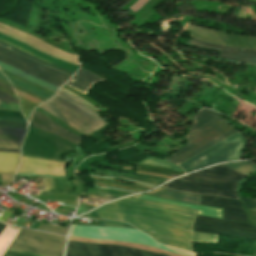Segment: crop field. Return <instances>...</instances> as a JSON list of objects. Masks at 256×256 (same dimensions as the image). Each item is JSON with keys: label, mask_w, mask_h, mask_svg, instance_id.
Segmentation results:
<instances>
[{"label": "crop field", "mask_w": 256, "mask_h": 256, "mask_svg": "<svg viewBox=\"0 0 256 256\" xmlns=\"http://www.w3.org/2000/svg\"><path fill=\"white\" fill-rule=\"evenodd\" d=\"M46 191L43 194H51L54 190L52 178H44Z\"/></svg>", "instance_id": "1d83c4d3"}, {"label": "crop field", "mask_w": 256, "mask_h": 256, "mask_svg": "<svg viewBox=\"0 0 256 256\" xmlns=\"http://www.w3.org/2000/svg\"><path fill=\"white\" fill-rule=\"evenodd\" d=\"M0 45L4 46V47H6V48H9V49H11V50H13V51H15V52H18V53H20V54H22V55H24V56H26V57H29V58H31V59H33V60H35V61H37V62H39V63H41V64H43V65H45V66L54 68V69H56V70L62 71V72H64V73H67V74H70V75H73V73L67 72V71L62 70V69H60V68H58V67H55V66H51V65H49V64H47V63H45V62H43V61L37 60V59H35V58H33V57H31V56H29V55H27V54H25V53H23V52L17 50V49H15V48H13V47H11V46H9V45H6V44L1 43V42H0Z\"/></svg>", "instance_id": "4177f3b9"}, {"label": "crop field", "mask_w": 256, "mask_h": 256, "mask_svg": "<svg viewBox=\"0 0 256 256\" xmlns=\"http://www.w3.org/2000/svg\"><path fill=\"white\" fill-rule=\"evenodd\" d=\"M98 188H112V189H117V188H113V187H98ZM118 190H122V189H118ZM123 191H128V190H123ZM128 192L137 193L138 191H128Z\"/></svg>", "instance_id": "c21b1889"}, {"label": "crop field", "mask_w": 256, "mask_h": 256, "mask_svg": "<svg viewBox=\"0 0 256 256\" xmlns=\"http://www.w3.org/2000/svg\"><path fill=\"white\" fill-rule=\"evenodd\" d=\"M65 237L21 229L10 248L44 256H62Z\"/></svg>", "instance_id": "dd49c442"}, {"label": "crop field", "mask_w": 256, "mask_h": 256, "mask_svg": "<svg viewBox=\"0 0 256 256\" xmlns=\"http://www.w3.org/2000/svg\"><path fill=\"white\" fill-rule=\"evenodd\" d=\"M0 120H11V121H22V122H26L25 119H18V118H2V117H0Z\"/></svg>", "instance_id": "5866460e"}, {"label": "crop field", "mask_w": 256, "mask_h": 256, "mask_svg": "<svg viewBox=\"0 0 256 256\" xmlns=\"http://www.w3.org/2000/svg\"><path fill=\"white\" fill-rule=\"evenodd\" d=\"M134 197L164 202V203H168V204H172V205L188 207V208L198 210L197 214H199V215L210 216V217L222 219V209H216V208H210V207H204V206H194V205L185 204V203H181V202L159 199V198H155V197H152L149 195H138V196H134Z\"/></svg>", "instance_id": "4a817a6b"}, {"label": "crop field", "mask_w": 256, "mask_h": 256, "mask_svg": "<svg viewBox=\"0 0 256 256\" xmlns=\"http://www.w3.org/2000/svg\"><path fill=\"white\" fill-rule=\"evenodd\" d=\"M137 165V169L140 171H144V172H150V173H157V174H164V175H182L184 173H180V172H176V171H172V170H168V169H164V168H158V167H152V166H145V165Z\"/></svg>", "instance_id": "00972430"}, {"label": "crop field", "mask_w": 256, "mask_h": 256, "mask_svg": "<svg viewBox=\"0 0 256 256\" xmlns=\"http://www.w3.org/2000/svg\"><path fill=\"white\" fill-rule=\"evenodd\" d=\"M0 87H2V88H4V89H6V90H8V91H10V92H12V93H14L13 90H12V88H10V87H8V86L2 84V83H0Z\"/></svg>", "instance_id": "e1f06a70"}, {"label": "crop field", "mask_w": 256, "mask_h": 256, "mask_svg": "<svg viewBox=\"0 0 256 256\" xmlns=\"http://www.w3.org/2000/svg\"><path fill=\"white\" fill-rule=\"evenodd\" d=\"M10 216H11V214L5 212L3 215L0 216V220L4 222Z\"/></svg>", "instance_id": "028f5c9d"}, {"label": "crop field", "mask_w": 256, "mask_h": 256, "mask_svg": "<svg viewBox=\"0 0 256 256\" xmlns=\"http://www.w3.org/2000/svg\"><path fill=\"white\" fill-rule=\"evenodd\" d=\"M195 216L194 210L127 197L81 217L123 220L163 244L193 251L192 242L216 243L218 237L192 232Z\"/></svg>", "instance_id": "8a807250"}, {"label": "crop field", "mask_w": 256, "mask_h": 256, "mask_svg": "<svg viewBox=\"0 0 256 256\" xmlns=\"http://www.w3.org/2000/svg\"><path fill=\"white\" fill-rule=\"evenodd\" d=\"M26 130L0 127V148L20 149Z\"/></svg>", "instance_id": "d9b57169"}, {"label": "crop field", "mask_w": 256, "mask_h": 256, "mask_svg": "<svg viewBox=\"0 0 256 256\" xmlns=\"http://www.w3.org/2000/svg\"><path fill=\"white\" fill-rule=\"evenodd\" d=\"M0 151H5V152H18V153H20V150H7V149H0Z\"/></svg>", "instance_id": "c035e120"}, {"label": "crop field", "mask_w": 256, "mask_h": 256, "mask_svg": "<svg viewBox=\"0 0 256 256\" xmlns=\"http://www.w3.org/2000/svg\"><path fill=\"white\" fill-rule=\"evenodd\" d=\"M0 67L2 69L8 70V71H10V72H12V73H14V74H16V75L26 79V80H29V81L37 84V85L45 87V88H47L49 90H52L54 92H56L58 90V87H56L54 85H51V84H49V83H47L45 81H42V80H40L38 78H35V77H33V76L29 75V74H26V73H24V72H22V71H20V70H18L16 68H13L11 66L5 65V64H3L1 62H0Z\"/></svg>", "instance_id": "214f88e0"}, {"label": "crop field", "mask_w": 256, "mask_h": 256, "mask_svg": "<svg viewBox=\"0 0 256 256\" xmlns=\"http://www.w3.org/2000/svg\"><path fill=\"white\" fill-rule=\"evenodd\" d=\"M0 116L23 118L21 112L0 110Z\"/></svg>", "instance_id": "750c4746"}, {"label": "crop field", "mask_w": 256, "mask_h": 256, "mask_svg": "<svg viewBox=\"0 0 256 256\" xmlns=\"http://www.w3.org/2000/svg\"><path fill=\"white\" fill-rule=\"evenodd\" d=\"M189 44L197 47H201V48L221 51L220 57H219L221 59L256 64V51L212 45V44H207V43H203V42H199L191 39Z\"/></svg>", "instance_id": "22f410ed"}, {"label": "crop field", "mask_w": 256, "mask_h": 256, "mask_svg": "<svg viewBox=\"0 0 256 256\" xmlns=\"http://www.w3.org/2000/svg\"><path fill=\"white\" fill-rule=\"evenodd\" d=\"M5 228V225L0 223V233L2 232V230Z\"/></svg>", "instance_id": "b54c1fbb"}, {"label": "crop field", "mask_w": 256, "mask_h": 256, "mask_svg": "<svg viewBox=\"0 0 256 256\" xmlns=\"http://www.w3.org/2000/svg\"><path fill=\"white\" fill-rule=\"evenodd\" d=\"M246 176L221 164L166 183L163 187L184 192L239 200L237 182Z\"/></svg>", "instance_id": "ac0d7876"}, {"label": "crop field", "mask_w": 256, "mask_h": 256, "mask_svg": "<svg viewBox=\"0 0 256 256\" xmlns=\"http://www.w3.org/2000/svg\"><path fill=\"white\" fill-rule=\"evenodd\" d=\"M85 196L93 197V198H98V199H106V200L114 199V198H105V197H97V196H89V195H85Z\"/></svg>", "instance_id": "b80d0937"}, {"label": "crop field", "mask_w": 256, "mask_h": 256, "mask_svg": "<svg viewBox=\"0 0 256 256\" xmlns=\"http://www.w3.org/2000/svg\"><path fill=\"white\" fill-rule=\"evenodd\" d=\"M186 30L191 31L190 36L202 41H208L224 46L247 48L256 50V37L231 34L188 24Z\"/></svg>", "instance_id": "3316defc"}, {"label": "crop field", "mask_w": 256, "mask_h": 256, "mask_svg": "<svg viewBox=\"0 0 256 256\" xmlns=\"http://www.w3.org/2000/svg\"><path fill=\"white\" fill-rule=\"evenodd\" d=\"M103 80L104 79L80 68L72 77V79L66 83V85L86 95L87 91L93 83Z\"/></svg>", "instance_id": "5142ce71"}, {"label": "crop field", "mask_w": 256, "mask_h": 256, "mask_svg": "<svg viewBox=\"0 0 256 256\" xmlns=\"http://www.w3.org/2000/svg\"><path fill=\"white\" fill-rule=\"evenodd\" d=\"M246 143L237 133L178 166L187 173L214 163L240 159Z\"/></svg>", "instance_id": "f4fd0767"}, {"label": "crop field", "mask_w": 256, "mask_h": 256, "mask_svg": "<svg viewBox=\"0 0 256 256\" xmlns=\"http://www.w3.org/2000/svg\"><path fill=\"white\" fill-rule=\"evenodd\" d=\"M66 256H163L157 253L114 245L68 241Z\"/></svg>", "instance_id": "5a996713"}, {"label": "crop field", "mask_w": 256, "mask_h": 256, "mask_svg": "<svg viewBox=\"0 0 256 256\" xmlns=\"http://www.w3.org/2000/svg\"><path fill=\"white\" fill-rule=\"evenodd\" d=\"M38 230L65 235L67 229L41 224Z\"/></svg>", "instance_id": "730fd06b"}, {"label": "crop field", "mask_w": 256, "mask_h": 256, "mask_svg": "<svg viewBox=\"0 0 256 256\" xmlns=\"http://www.w3.org/2000/svg\"><path fill=\"white\" fill-rule=\"evenodd\" d=\"M0 100L6 102V103H8V104H9L11 101H13V102L19 104L18 99L14 98V97H12V96H10V95H8V94L2 92V91H0Z\"/></svg>", "instance_id": "bd1437ed"}, {"label": "crop field", "mask_w": 256, "mask_h": 256, "mask_svg": "<svg viewBox=\"0 0 256 256\" xmlns=\"http://www.w3.org/2000/svg\"><path fill=\"white\" fill-rule=\"evenodd\" d=\"M90 177L108 178V179H114L115 178V177H100V176H92V175H90ZM117 178H121V177H117ZM123 179H126V178H123ZM126 180H129L131 182H134V183H137V184H140V185L152 187V188L156 187L155 185H150V184H146V183H142V182H138V181H134V180H130V179H126Z\"/></svg>", "instance_id": "120bbe31"}, {"label": "crop field", "mask_w": 256, "mask_h": 256, "mask_svg": "<svg viewBox=\"0 0 256 256\" xmlns=\"http://www.w3.org/2000/svg\"><path fill=\"white\" fill-rule=\"evenodd\" d=\"M1 71V70H0Z\"/></svg>", "instance_id": "5d738f31"}, {"label": "crop field", "mask_w": 256, "mask_h": 256, "mask_svg": "<svg viewBox=\"0 0 256 256\" xmlns=\"http://www.w3.org/2000/svg\"><path fill=\"white\" fill-rule=\"evenodd\" d=\"M5 76L11 82V84H13V85H15L17 87H20L22 89H25V90H27L29 92H32V93H34V94H36V95H38V96H40V97H42V98H44L46 100L53 96V94H50V93H47V92L42 91L40 89H37V88H35V87H33V86L29 85V84H26V83H24V82H22V81H20L18 79H15V78H13L11 76H8L6 74H5Z\"/></svg>", "instance_id": "92a150f3"}, {"label": "crop field", "mask_w": 256, "mask_h": 256, "mask_svg": "<svg viewBox=\"0 0 256 256\" xmlns=\"http://www.w3.org/2000/svg\"><path fill=\"white\" fill-rule=\"evenodd\" d=\"M217 115L218 113L205 108L197 113L190 129L188 145L166 159L178 165L222 139L236 133Z\"/></svg>", "instance_id": "412701ff"}, {"label": "crop field", "mask_w": 256, "mask_h": 256, "mask_svg": "<svg viewBox=\"0 0 256 256\" xmlns=\"http://www.w3.org/2000/svg\"><path fill=\"white\" fill-rule=\"evenodd\" d=\"M65 165L66 164L54 163L22 156L21 166L18 172L47 175H65Z\"/></svg>", "instance_id": "d1516ede"}, {"label": "crop field", "mask_w": 256, "mask_h": 256, "mask_svg": "<svg viewBox=\"0 0 256 256\" xmlns=\"http://www.w3.org/2000/svg\"><path fill=\"white\" fill-rule=\"evenodd\" d=\"M0 108H3V109H14V110H20L19 109V106L14 104V103H10L9 105L5 104V103H1L0 105Z\"/></svg>", "instance_id": "d32e631a"}, {"label": "crop field", "mask_w": 256, "mask_h": 256, "mask_svg": "<svg viewBox=\"0 0 256 256\" xmlns=\"http://www.w3.org/2000/svg\"><path fill=\"white\" fill-rule=\"evenodd\" d=\"M0 60L58 87L62 86L70 77V75L42 66L3 47H0Z\"/></svg>", "instance_id": "e52e79f7"}, {"label": "crop field", "mask_w": 256, "mask_h": 256, "mask_svg": "<svg viewBox=\"0 0 256 256\" xmlns=\"http://www.w3.org/2000/svg\"><path fill=\"white\" fill-rule=\"evenodd\" d=\"M0 126L26 129L27 128V123L0 121Z\"/></svg>", "instance_id": "ae1a2a85"}, {"label": "crop field", "mask_w": 256, "mask_h": 256, "mask_svg": "<svg viewBox=\"0 0 256 256\" xmlns=\"http://www.w3.org/2000/svg\"><path fill=\"white\" fill-rule=\"evenodd\" d=\"M29 125L39 129L49 131L75 144H78L81 139L76 135L72 134L71 132L67 131L66 129L52 123L46 116L41 115L35 111H33L31 115Z\"/></svg>", "instance_id": "cbeb9de0"}, {"label": "crop field", "mask_w": 256, "mask_h": 256, "mask_svg": "<svg viewBox=\"0 0 256 256\" xmlns=\"http://www.w3.org/2000/svg\"><path fill=\"white\" fill-rule=\"evenodd\" d=\"M244 204V208L248 210H256V199L239 197Z\"/></svg>", "instance_id": "eef30255"}, {"label": "crop field", "mask_w": 256, "mask_h": 256, "mask_svg": "<svg viewBox=\"0 0 256 256\" xmlns=\"http://www.w3.org/2000/svg\"><path fill=\"white\" fill-rule=\"evenodd\" d=\"M99 225H104V226H117V227H131L130 225L126 224V223H121V222H117V221H108V220H101V222L99 223Z\"/></svg>", "instance_id": "d3111659"}, {"label": "crop field", "mask_w": 256, "mask_h": 256, "mask_svg": "<svg viewBox=\"0 0 256 256\" xmlns=\"http://www.w3.org/2000/svg\"><path fill=\"white\" fill-rule=\"evenodd\" d=\"M236 171L248 176L252 171L256 169V166L247 162H235V163H228L225 164Z\"/></svg>", "instance_id": "a9b5d70f"}, {"label": "crop field", "mask_w": 256, "mask_h": 256, "mask_svg": "<svg viewBox=\"0 0 256 256\" xmlns=\"http://www.w3.org/2000/svg\"><path fill=\"white\" fill-rule=\"evenodd\" d=\"M17 175H28V174H17ZM29 176H47V175H29ZM48 177H65V176H48Z\"/></svg>", "instance_id": "0bd39190"}, {"label": "crop field", "mask_w": 256, "mask_h": 256, "mask_svg": "<svg viewBox=\"0 0 256 256\" xmlns=\"http://www.w3.org/2000/svg\"><path fill=\"white\" fill-rule=\"evenodd\" d=\"M96 172L98 174L108 175V176L118 175V174L107 173V172H99V171H96ZM121 176L128 177V178L135 179V180H139V181H143V182H147V183H151V184H155V185H158V184L166 181V179L150 177V176H143V175H137V174H131V173H125V172H123L121 174Z\"/></svg>", "instance_id": "dafd665d"}, {"label": "crop field", "mask_w": 256, "mask_h": 256, "mask_svg": "<svg viewBox=\"0 0 256 256\" xmlns=\"http://www.w3.org/2000/svg\"><path fill=\"white\" fill-rule=\"evenodd\" d=\"M80 102H83L98 112L100 111L78 96L62 88L53 99L38 107L82 134L95 132L108 124L100 118L99 113Z\"/></svg>", "instance_id": "34b2d1b8"}, {"label": "crop field", "mask_w": 256, "mask_h": 256, "mask_svg": "<svg viewBox=\"0 0 256 256\" xmlns=\"http://www.w3.org/2000/svg\"><path fill=\"white\" fill-rule=\"evenodd\" d=\"M157 197L167 198L176 201H182L194 205H199V195L184 193L169 189L160 188L151 193H146Z\"/></svg>", "instance_id": "733c2abd"}, {"label": "crop field", "mask_w": 256, "mask_h": 256, "mask_svg": "<svg viewBox=\"0 0 256 256\" xmlns=\"http://www.w3.org/2000/svg\"><path fill=\"white\" fill-rule=\"evenodd\" d=\"M193 231L231 235L256 240V228L251 224L220 220L197 215Z\"/></svg>", "instance_id": "d8731c3e"}, {"label": "crop field", "mask_w": 256, "mask_h": 256, "mask_svg": "<svg viewBox=\"0 0 256 256\" xmlns=\"http://www.w3.org/2000/svg\"><path fill=\"white\" fill-rule=\"evenodd\" d=\"M19 154L0 152V174L14 175L17 170Z\"/></svg>", "instance_id": "bc2a9ffb"}, {"label": "crop field", "mask_w": 256, "mask_h": 256, "mask_svg": "<svg viewBox=\"0 0 256 256\" xmlns=\"http://www.w3.org/2000/svg\"><path fill=\"white\" fill-rule=\"evenodd\" d=\"M201 204L223 208V219L249 223L241 201L202 195Z\"/></svg>", "instance_id": "28ad6ade"}, {"label": "crop field", "mask_w": 256, "mask_h": 256, "mask_svg": "<svg viewBox=\"0 0 256 256\" xmlns=\"http://www.w3.org/2000/svg\"><path fill=\"white\" fill-rule=\"evenodd\" d=\"M0 79H2V80H4V81L8 82L1 72H0Z\"/></svg>", "instance_id": "03da06ac"}]
</instances>
